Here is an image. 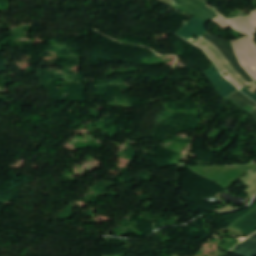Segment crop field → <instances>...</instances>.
<instances>
[{"mask_svg":"<svg viewBox=\"0 0 256 256\" xmlns=\"http://www.w3.org/2000/svg\"><path fill=\"white\" fill-rule=\"evenodd\" d=\"M202 37L207 39L209 42L214 44L219 51L226 57V59L231 63V65L250 83L254 81L250 75L240 66L237 62L232 45L225 42L220 38H216L210 35L204 34ZM200 37L195 45H198L202 48L205 53L213 60L219 70L224 73H228L229 75L226 78L233 83L239 89L244 85L248 84V82L230 65V63L225 59V57L218 51V49L209 43L204 38ZM197 46V47H198Z\"/></svg>","mask_w":256,"mask_h":256,"instance_id":"obj_1","label":"crop field"},{"mask_svg":"<svg viewBox=\"0 0 256 256\" xmlns=\"http://www.w3.org/2000/svg\"><path fill=\"white\" fill-rule=\"evenodd\" d=\"M203 2V1H202ZM199 0H173L174 7L190 16L209 22L210 20L218 17L219 15L208 9L207 5ZM224 18V17H223ZM221 16L212 20L222 28H228L229 25Z\"/></svg>","mask_w":256,"mask_h":256,"instance_id":"obj_2","label":"crop field"},{"mask_svg":"<svg viewBox=\"0 0 256 256\" xmlns=\"http://www.w3.org/2000/svg\"><path fill=\"white\" fill-rule=\"evenodd\" d=\"M238 62L256 80V44L253 38L245 37L232 40ZM250 76V77H251Z\"/></svg>","mask_w":256,"mask_h":256,"instance_id":"obj_3","label":"crop field"},{"mask_svg":"<svg viewBox=\"0 0 256 256\" xmlns=\"http://www.w3.org/2000/svg\"><path fill=\"white\" fill-rule=\"evenodd\" d=\"M205 73L210 78V80L220 88L216 91L223 97V99L228 97V95L230 93L238 90L229 81L225 80V81L221 82L219 80L221 75L216 67L211 68V70H209Z\"/></svg>","mask_w":256,"mask_h":256,"instance_id":"obj_4","label":"crop field"},{"mask_svg":"<svg viewBox=\"0 0 256 256\" xmlns=\"http://www.w3.org/2000/svg\"><path fill=\"white\" fill-rule=\"evenodd\" d=\"M205 24L206 22L200 21L198 19L193 18L191 21H189L186 26L177 33V35L189 39L194 34L201 35L205 31Z\"/></svg>","mask_w":256,"mask_h":256,"instance_id":"obj_5","label":"crop field"},{"mask_svg":"<svg viewBox=\"0 0 256 256\" xmlns=\"http://www.w3.org/2000/svg\"><path fill=\"white\" fill-rule=\"evenodd\" d=\"M228 98L235 102L238 107L251 111L252 115L256 119V104H254L249 98L244 96L239 91ZM228 98L226 99V101H228L229 103L232 102Z\"/></svg>","mask_w":256,"mask_h":256,"instance_id":"obj_6","label":"crop field"},{"mask_svg":"<svg viewBox=\"0 0 256 256\" xmlns=\"http://www.w3.org/2000/svg\"><path fill=\"white\" fill-rule=\"evenodd\" d=\"M243 235L256 231V210L235 224Z\"/></svg>","mask_w":256,"mask_h":256,"instance_id":"obj_7","label":"crop field"},{"mask_svg":"<svg viewBox=\"0 0 256 256\" xmlns=\"http://www.w3.org/2000/svg\"><path fill=\"white\" fill-rule=\"evenodd\" d=\"M233 252L243 256H256V234L243 243L238 244Z\"/></svg>","mask_w":256,"mask_h":256,"instance_id":"obj_8","label":"crop field"},{"mask_svg":"<svg viewBox=\"0 0 256 256\" xmlns=\"http://www.w3.org/2000/svg\"><path fill=\"white\" fill-rule=\"evenodd\" d=\"M229 23L231 24L232 27L237 28V29L253 36V23L249 17L245 18V19L229 20Z\"/></svg>","mask_w":256,"mask_h":256,"instance_id":"obj_9","label":"crop field"},{"mask_svg":"<svg viewBox=\"0 0 256 256\" xmlns=\"http://www.w3.org/2000/svg\"><path fill=\"white\" fill-rule=\"evenodd\" d=\"M245 185L250 188L246 192L247 195L253 197L256 195V169L252 172H249L240 179Z\"/></svg>","mask_w":256,"mask_h":256,"instance_id":"obj_10","label":"crop field"},{"mask_svg":"<svg viewBox=\"0 0 256 256\" xmlns=\"http://www.w3.org/2000/svg\"><path fill=\"white\" fill-rule=\"evenodd\" d=\"M242 90L245 94H247L249 97H251L253 100L256 101V95H254L252 92H250L248 89H246L245 87L240 89Z\"/></svg>","mask_w":256,"mask_h":256,"instance_id":"obj_11","label":"crop field"},{"mask_svg":"<svg viewBox=\"0 0 256 256\" xmlns=\"http://www.w3.org/2000/svg\"><path fill=\"white\" fill-rule=\"evenodd\" d=\"M252 21L254 22V31H255V34H256V11H253L250 15Z\"/></svg>","mask_w":256,"mask_h":256,"instance_id":"obj_12","label":"crop field"}]
</instances>
